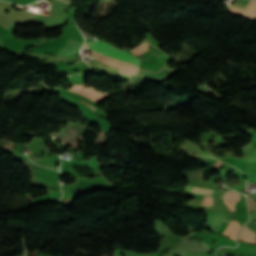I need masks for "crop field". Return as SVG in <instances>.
Segmentation results:
<instances>
[{
  "instance_id": "28ad6ade",
  "label": "crop field",
  "mask_w": 256,
  "mask_h": 256,
  "mask_svg": "<svg viewBox=\"0 0 256 256\" xmlns=\"http://www.w3.org/2000/svg\"><path fill=\"white\" fill-rule=\"evenodd\" d=\"M236 223H237V221L231 220L227 230L224 232V235L228 236L229 232L235 226Z\"/></svg>"
},
{
  "instance_id": "5a996713",
  "label": "crop field",
  "mask_w": 256,
  "mask_h": 256,
  "mask_svg": "<svg viewBox=\"0 0 256 256\" xmlns=\"http://www.w3.org/2000/svg\"><path fill=\"white\" fill-rule=\"evenodd\" d=\"M214 201L213 198L205 196L202 205L203 206H211L213 205Z\"/></svg>"
},
{
  "instance_id": "f4fd0767",
  "label": "crop field",
  "mask_w": 256,
  "mask_h": 256,
  "mask_svg": "<svg viewBox=\"0 0 256 256\" xmlns=\"http://www.w3.org/2000/svg\"><path fill=\"white\" fill-rule=\"evenodd\" d=\"M238 241H246L249 243L256 244L255 235L252 232H250L246 227H244L243 230L241 231L238 237Z\"/></svg>"
},
{
  "instance_id": "412701ff",
  "label": "crop field",
  "mask_w": 256,
  "mask_h": 256,
  "mask_svg": "<svg viewBox=\"0 0 256 256\" xmlns=\"http://www.w3.org/2000/svg\"><path fill=\"white\" fill-rule=\"evenodd\" d=\"M236 6L230 8L228 11L235 13L237 15L240 16H252V17H256V8L255 7H251V6H247V5H243L240 3H235Z\"/></svg>"
},
{
  "instance_id": "cbeb9de0",
  "label": "crop field",
  "mask_w": 256,
  "mask_h": 256,
  "mask_svg": "<svg viewBox=\"0 0 256 256\" xmlns=\"http://www.w3.org/2000/svg\"><path fill=\"white\" fill-rule=\"evenodd\" d=\"M220 164H221V162L218 161L214 166L219 167Z\"/></svg>"
},
{
  "instance_id": "34b2d1b8",
  "label": "crop field",
  "mask_w": 256,
  "mask_h": 256,
  "mask_svg": "<svg viewBox=\"0 0 256 256\" xmlns=\"http://www.w3.org/2000/svg\"><path fill=\"white\" fill-rule=\"evenodd\" d=\"M83 43L77 42L74 40L67 39V41L64 43L60 51L57 53V56H70L76 52H78L80 46Z\"/></svg>"
},
{
  "instance_id": "e52e79f7",
  "label": "crop field",
  "mask_w": 256,
  "mask_h": 256,
  "mask_svg": "<svg viewBox=\"0 0 256 256\" xmlns=\"http://www.w3.org/2000/svg\"><path fill=\"white\" fill-rule=\"evenodd\" d=\"M149 45L147 44H142L141 46H139L138 48H136L135 50H133L131 53L139 55L142 54L144 52H146L147 50H149L150 47H148Z\"/></svg>"
},
{
  "instance_id": "22f410ed",
  "label": "crop field",
  "mask_w": 256,
  "mask_h": 256,
  "mask_svg": "<svg viewBox=\"0 0 256 256\" xmlns=\"http://www.w3.org/2000/svg\"><path fill=\"white\" fill-rule=\"evenodd\" d=\"M227 193L228 192L223 193V195H222V197L220 199L224 200L226 198V196H227Z\"/></svg>"
},
{
  "instance_id": "ac0d7876",
  "label": "crop field",
  "mask_w": 256,
  "mask_h": 256,
  "mask_svg": "<svg viewBox=\"0 0 256 256\" xmlns=\"http://www.w3.org/2000/svg\"><path fill=\"white\" fill-rule=\"evenodd\" d=\"M83 104H85L86 106L90 107L91 109H93L94 111H98L96 110L94 107H92L90 104L84 102V101H80ZM77 105L78 108H80L81 112L83 113V115L90 121V122H94L100 125V127L102 128L103 131L105 132H109L111 129V125L103 118H99L97 117V115L94 113L93 110H91L90 108L86 107L85 105H83L82 103H80Z\"/></svg>"
},
{
  "instance_id": "3316defc",
  "label": "crop field",
  "mask_w": 256,
  "mask_h": 256,
  "mask_svg": "<svg viewBox=\"0 0 256 256\" xmlns=\"http://www.w3.org/2000/svg\"><path fill=\"white\" fill-rule=\"evenodd\" d=\"M8 1H12L14 3H18V4H22V5H26L30 2H34L36 0H8Z\"/></svg>"
},
{
  "instance_id": "dd49c442",
  "label": "crop field",
  "mask_w": 256,
  "mask_h": 256,
  "mask_svg": "<svg viewBox=\"0 0 256 256\" xmlns=\"http://www.w3.org/2000/svg\"><path fill=\"white\" fill-rule=\"evenodd\" d=\"M239 199H240V196L238 194L229 192L228 196L224 202L227 204L230 211H234L235 203Z\"/></svg>"
},
{
  "instance_id": "8a807250",
  "label": "crop field",
  "mask_w": 256,
  "mask_h": 256,
  "mask_svg": "<svg viewBox=\"0 0 256 256\" xmlns=\"http://www.w3.org/2000/svg\"><path fill=\"white\" fill-rule=\"evenodd\" d=\"M87 46L92 50L93 58L105 65L136 72L141 66V60L127 51H119L115 47L102 41H89ZM86 44L83 48H87ZM119 69V70H120ZM120 70V75L132 77L135 73Z\"/></svg>"
},
{
  "instance_id": "d1516ede",
  "label": "crop field",
  "mask_w": 256,
  "mask_h": 256,
  "mask_svg": "<svg viewBox=\"0 0 256 256\" xmlns=\"http://www.w3.org/2000/svg\"><path fill=\"white\" fill-rule=\"evenodd\" d=\"M194 190H199V191H205V192H210V193H213V190H209V189H202V188H198V187H193ZM192 190V191H194ZM199 191H194V192H199ZM205 192H199V193H204V194H209L211 195L210 193H205Z\"/></svg>"
},
{
  "instance_id": "d8731c3e",
  "label": "crop field",
  "mask_w": 256,
  "mask_h": 256,
  "mask_svg": "<svg viewBox=\"0 0 256 256\" xmlns=\"http://www.w3.org/2000/svg\"><path fill=\"white\" fill-rule=\"evenodd\" d=\"M241 227L242 226L240 224H238V223L236 224V226L233 228V230L231 231V233L229 235L231 237V239H235L236 240V235L239 232Z\"/></svg>"
}]
</instances>
